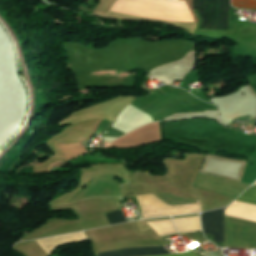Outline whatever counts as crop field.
<instances>
[{
    "instance_id": "obj_1",
    "label": "crop field",
    "mask_w": 256,
    "mask_h": 256,
    "mask_svg": "<svg viewBox=\"0 0 256 256\" xmlns=\"http://www.w3.org/2000/svg\"><path fill=\"white\" fill-rule=\"evenodd\" d=\"M230 0H193V9H197L202 28L228 29Z\"/></svg>"
},
{
    "instance_id": "obj_2",
    "label": "crop field",
    "mask_w": 256,
    "mask_h": 256,
    "mask_svg": "<svg viewBox=\"0 0 256 256\" xmlns=\"http://www.w3.org/2000/svg\"><path fill=\"white\" fill-rule=\"evenodd\" d=\"M201 218L203 232L212 234L215 242H224V209L204 214Z\"/></svg>"
},
{
    "instance_id": "obj_3",
    "label": "crop field",
    "mask_w": 256,
    "mask_h": 256,
    "mask_svg": "<svg viewBox=\"0 0 256 256\" xmlns=\"http://www.w3.org/2000/svg\"><path fill=\"white\" fill-rule=\"evenodd\" d=\"M167 253L163 247L133 248L100 253L99 256H141Z\"/></svg>"
},
{
    "instance_id": "obj_4",
    "label": "crop field",
    "mask_w": 256,
    "mask_h": 256,
    "mask_svg": "<svg viewBox=\"0 0 256 256\" xmlns=\"http://www.w3.org/2000/svg\"><path fill=\"white\" fill-rule=\"evenodd\" d=\"M238 201L247 202L256 205V186L249 188L242 196H240Z\"/></svg>"
},
{
    "instance_id": "obj_5",
    "label": "crop field",
    "mask_w": 256,
    "mask_h": 256,
    "mask_svg": "<svg viewBox=\"0 0 256 256\" xmlns=\"http://www.w3.org/2000/svg\"><path fill=\"white\" fill-rule=\"evenodd\" d=\"M106 216H107L111 225L126 221V219H125L124 215L122 214L121 210L110 213V214H107Z\"/></svg>"
},
{
    "instance_id": "obj_6",
    "label": "crop field",
    "mask_w": 256,
    "mask_h": 256,
    "mask_svg": "<svg viewBox=\"0 0 256 256\" xmlns=\"http://www.w3.org/2000/svg\"><path fill=\"white\" fill-rule=\"evenodd\" d=\"M232 5L256 9V0H232Z\"/></svg>"
},
{
    "instance_id": "obj_7",
    "label": "crop field",
    "mask_w": 256,
    "mask_h": 256,
    "mask_svg": "<svg viewBox=\"0 0 256 256\" xmlns=\"http://www.w3.org/2000/svg\"><path fill=\"white\" fill-rule=\"evenodd\" d=\"M162 256H195L193 252L182 253V254H172V255H162Z\"/></svg>"
}]
</instances>
